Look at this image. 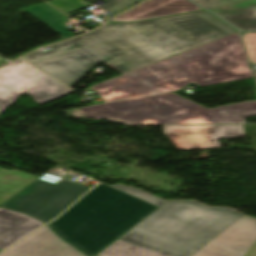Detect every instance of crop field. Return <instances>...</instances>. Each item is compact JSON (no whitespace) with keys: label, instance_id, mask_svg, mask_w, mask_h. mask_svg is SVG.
Returning a JSON list of instances; mask_svg holds the SVG:
<instances>
[{"label":"crop field","instance_id":"1","mask_svg":"<svg viewBox=\"0 0 256 256\" xmlns=\"http://www.w3.org/2000/svg\"><path fill=\"white\" fill-rule=\"evenodd\" d=\"M37 51L24 58L72 87L100 61L124 74L172 56L122 24Z\"/></svg>","mask_w":256,"mask_h":256},{"label":"crop field","instance_id":"2","mask_svg":"<svg viewBox=\"0 0 256 256\" xmlns=\"http://www.w3.org/2000/svg\"><path fill=\"white\" fill-rule=\"evenodd\" d=\"M158 208L100 183L49 225L65 241L94 256Z\"/></svg>","mask_w":256,"mask_h":256},{"label":"crop field","instance_id":"3","mask_svg":"<svg viewBox=\"0 0 256 256\" xmlns=\"http://www.w3.org/2000/svg\"><path fill=\"white\" fill-rule=\"evenodd\" d=\"M242 215L192 200L168 201L119 240L166 256H189Z\"/></svg>","mask_w":256,"mask_h":256},{"label":"crop field","instance_id":"4","mask_svg":"<svg viewBox=\"0 0 256 256\" xmlns=\"http://www.w3.org/2000/svg\"><path fill=\"white\" fill-rule=\"evenodd\" d=\"M134 72L156 93L253 77L238 33Z\"/></svg>","mask_w":256,"mask_h":256},{"label":"crop field","instance_id":"5","mask_svg":"<svg viewBox=\"0 0 256 256\" xmlns=\"http://www.w3.org/2000/svg\"><path fill=\"white\" fill-rule=\"evenodd\" d=\"M124 25L173 55L236 32L205 11Z\"/></svg>","mask_w":256,"mask_h":256},{"label":"crop field","instance_id":"6","mask_svg":"<svg viewBox=\"0 0 256 256\" xmlns=\"http://www.w3.org/2000/svg\"><path fill=\"white\" fill-rule=\"evenodd\" d=\"M72 117L109 120L119 118L126 125L212 124L171 105L156 95L83 107L66 111Z\"/></svg>","mask_w":256,"mask_h":256},{"label":"crop field","instance_id":"7","mask_svg":"<svg viewBox=\"0 0 256 256\" xmlns=\"http://www.w3.org/2000/svg\"><path fill=\"white\" fill-rule=\"evenodd\" d=\"M90 187L62 179L56 185L35 181L1 207L32 215L43 222L58 216Z\"/></svg>","mask_w":256,"mask_h":256},{"label":"crop field","instance_id":"8","mask_svg":"<svg viewBox=\"0 0 256 256\" xmlns=\"http://www.w3.org/2000/svg\"><path fill=\"white\" fill-rule=\"evenodd\" d=\"M70 92L23 59L0 68V113L24 93L42 104Z\"/></svg>","mask_w":256,"mask_h":256},{"label":"crop field","instance_id":"9","mask_svg":"<svg viewBox=\"0 0 256 256\" xmlns=\"http://www.w3.org/2000/svg\"><path fill=\"white\" fill-rule=\"evenodd\" d=\"M256 243V219L243 216L192 256H245Z\"/></svg>","mask_w":256,"mask_h":256},{"label":"crop field","instance_id":"10","mask_svg":"<svg viewBox=\"0 0 256 256\" xmlns=\"http://www.w3.org/2000/svg\"><path fill=\"white\" fill-rule=\"evenodd\" d=\"M65 254L84 256L46 226L4 251L0 256H65Z\"/></svg>","mask_w":256,"mask_h":256},{"label":"crop field","instance_id":"11","mask_svg":"<svg viewBox=\"0 0 256 256\" xmlns=\"http://www.w3.org/2000/svg\"><path fill=\"white\" fill-rule=\"evenodd\" d=\"M158 96L214 124L246 123L244 117L256 115V101L206 109L173 93Z\"/></svg>","mask_w":256,"mask_h":256},{"label":"crop field","instance_id":"12","mask_svg":"<svg viewBox=\"0 0 256 256\" xmlns=\"http://www.w3.org/2000/svg\"><path fill=\"white\" fill-rule=\"evenodd\" d=\"M163 129L179 132L186 150L220 147L216 137H244L243 125L163 127Z\"/></svg>","mask_w":256,"mask_h":256},{"label":"crop field","instance_id":"13","mask_svg":"<svg viewBox=\"0 0 256 256\" xmlns=\"http://www.w3.org/2000/svg\"><path fill=\"white\" fill-rule=\"evenodd\" d=\"M200 9V7L189 0H149L118 16L112 21L134 22L160 16L176 15L178 13Z\"/></svg>","mask_w":256,"mask_h":256},{"label":"crop field","instance_id":"14","mask_svg":"<svg viewBox=\"0 0 256 256\" xmlns=\"http://www.w3.org/2000/svg\"><path fill=\"white\" fill-rule=\"evenodd\" d=\"M43 225L25 214L0 208V251Z\"/></svg>","mask_w":256,"mask_h":256},{"label":"crop field","instance_id":"15","mask_svg":"<svg viewBox=\"0 0 256 256\" xmlns=\"http://www.w3.org/2000/svg\"><path fill=\"white\" fill-rule=\"evenodd\" d=\"M93 88L106 100H118L154 92L150 87L134 77L132 74H124L104 83L93 86Z\"/></svg>","mask_w":256,"mask_h":256},{"label":"crop field","instance_id":"16","mask_svg":"<svg viewBox=\"0 0 256 256\" xmlns=\"http://www.w3.org/2000/svg\"><path fill=\"white\" fill-rule=\"evenodd\" d=\"M211 11L241 30H256V0H244Z\"/></svg>","mask_w":256,"mask_h":256},{"label":"crop field","instance_id":"17","mask_svg":"<svg viewBox=\"0 0 256 256\" xmlns=\"http://www.w3.org/2000/svg\"><path fill=\"white\" fill-rule=\"evenodd\" d=\"M38 178L17 170L8 171L0 168V205Z\"/></svg>","mask_w":256,"mask_h":256},{"label":"crop field","instance_id":"18","mask_svg":"<svg viewBox=\"0 0 256 256\" xmlns=\"http://www.w3.org/2000/svg\"><path fill=\"white\" fill-rule=\"evenodd\" d=\"M25 10L63 37L67 38L73 36L67 31L68 29L64 27L69 24L67 22L70 21V19L48 4L44 3Z\"/></svg>","mask_w":256,"mask_h":256},{"label":"crop field","instance_id":"19","mask_svg":"<svg viewBox=\"0 0 256 256\" xmlns=\"http://www.w3.org/2000/svg\"><path fill=\"white\" fill-rule=\"evenodd\" d=\"M98 256H163L117 240Z\"/></svg>","mask_w":256,"mask_h":256},{"label":"crop field","instance_id":"20","mask_svg":"<svg viewBox=\"0 0 256 256\" xmlns=\"http://www.w3.org/2000/svg\"><path fill=\"white\" fill-rule=\"evenodd\" d=\"M49 2L66 14L90 6V4L84 0H52Z\"/></svg>","mask_w":256,"mask_h":256},{"label":"crop field","instance_id":"21","mask_svg":"<svg viewBox=\"0 0 256 256\" xmlns=\"http://www.w3.org/2000/svg\"><path fill=\"white\" fill-rule=\"evenodd\" d=\"M112 187L118 188V189H120V190H122L124 192H127V193H129V194H131L133 196H136V197L141 198V199H143L145 201L153 203V204H155V205H157L159 207L161 205H163L165 202H167V201H165V200H163V199H161L159 197L152 196V195H150V194H148V193H146V192H144V191H142L140 189H132V188L124 187L122 185L112 186Z\"/></svg>","mask_w":256,"mask_h":256},{"label":"crop field","instance_id":"22","mask_svg":"<svg viewBox=\"0 0 256 256\" xmlns=\"http://www.w3.org/2000/svg\"><path fill=\"white\" fill-rule=\"evenodd\" d=\"M108 4L101 7V9L109 13H117L122 11L139 0H106Z\"/></svg>","mask_w":256,"mask_h":256},{"label":"crop field","instance_id":"23","mask_svg":"<svg viewBox=\"0 0 256 256\" xmlns=\"http://www.w3.org/2000/svg\"><path fill=\"white\" fill-rule=\"evenodd\" d=\"M251 57V60L256 64V33H242Z\"/></svg>","mask_w":256,"mask_h":256},{"label":"crop field","instance_id":"24","mask_svg":"<svg viewBox=\"0 0 256 256\" xmlns=\"http://www.w3.org/2000/svg\"><path fill=\"white\" fill-rule=\"evenodd\" d=\"M193 1H195L197 4H199L204 8L211 9L217 6L233 3L240 0H193Z\"/></svg>","mask_w":256,"mask_h":256},{"label":"crop field","instance_id":"25","mask_svg":"<svg viewBox=\"0 0 256 256\" xmlns=\"http://www.w3.org/2000/svg\"><path fill=\"white\" fill-rule=\"evenodd\" d=\"M62 178L67 179V180L72 181V182H74L76 179H78V177L71 176V175H68V174H66ZM62 178L45 174L39 180H43V181H47V182L56 184Z\"/></svg>","mask_w":256,"mask_h":256},{"label":"crop field","instance_id":"26","mask_svg":"<svg viewBox=\"0 0 256 256\" xmlns=\"http://www.w3.org/2000/svg\"><path fill=\"white\" fill-rule=\"evenodd\" d=\"M164 134L175 143L179 150H185L178 133L164 132Z\"/></svg>","mask_w":256,"mask_h":256},{"label":"crop field","instance_id":"27","mask_svg":"<svg viewBox=\"0 0 256 256\" xmlns=\"http://www.w3.org/2000/svg\"><path fill=\"white\" fill-rule=\"evenodd\" d=\"M246 256H256V244L253 246V248L248 252Z\"/></svg>","mask_w":256,"mask_h":256},{"label":"crop field","instance_id":"28","mask_svg":"<svg viewBox=\"0 0 256 256\" xmlns=\"http://www.w3.org/2000/svg\"><path fill=\"white\" fill-rule=\"evenodd\" d=\"M5 62V60H3L2 58H0V64Z\"/></svg>","mask_w":256,"mask_h":256}]
</instances>
